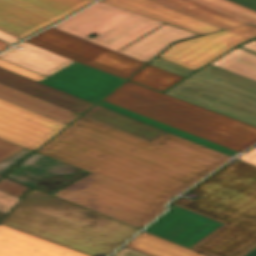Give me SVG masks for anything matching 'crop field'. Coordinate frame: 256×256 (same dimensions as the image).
<instances>
[{"label":"crop field","mask_w":256,"mask_h":256,"mask_svg":"<svg viewBox=\"0 0 256 256\" xmlns=\"http://www.w3.org/2000/svg\"><path fill=\"white\" fill-rule=\"evenodd\" d=\"M0 129L43 145L49 138L27 131L0 120Z\"/></svg>","instance_id":"crop-field-31"},{"label":"crop field","mask_w":256,"mask_h":256,"mask_svg":"<svg viewBox=\"0 0 256 256\" xmlns=\"http://www.w3.org/2000/svg\"><path fill=\"white\" fill-rule=\"evenodd\" d=\"M37 152L164 204L231 158L169 132L149 142L84 116Z\"/></svg>","instance_id":"crop-field-1"},{"label":"crop field","mask_w":256,"mask_h":256,"mask_svg":"<svg viewBox=\"0 0 256 256\" xmlns=\"http://www.w3.org/2000/svg\"><path fill=\"white\" fill-rule=\"evenodd\" d=\"M228 31L233 32L235 34H238V35H240L242 37H245L247 39H251V38L256 37V26H254L252 24H248V25L228 29Z\"/></svg>","instance_id":"crop-field-40"},{"label":"crop field","mask_w":256,"mask_h":256,"mask_svg":"<svg viewBox=\"0 0 256 256\" xmlns=\"http://www.w3.org/2000/svg\"><path fill=\"white\" fill-rule=\"evenodd\" d=\"M102 35H100V36H98V37H96V38H94L93 40H95V39H97V38H99V37H101ZM87 37V36H86ZM89 38V37H88Z\"/></svg>","instance_id":"crop-field-49"},{"label":"crop field","mask_w":256,"mask_h":256,"mask_svg":"<svg viewBox=\"0 0 256 256\" xmlns=\"http://www.w3.org/2000/svg\"><path fill=\"white\" fill-rule=\"evenodd\" d=\"M0 256H87L0 225Z\"/></svg>","instance_id":"crop-field-16"},{"label":"crop field","mask_w":256,"mask_h":256,"mask_svg":"<svg viewBox=\"0 0 256 256\" xmlns=\"http://www.w3.org/2000/svg\"><path fill=\"white\" fill-rule=\"evenodd\" d=\"M0 38L4 39L12 44L20 40V39L14 37L12 35H9L3 31H0Z\"/></svg>","instance_id":"crop-field-44"},{"label":"crop field","mask_w":256,"mask_h":256,"mask_svg":"<svg viewBox=\"0 0 256 256\" xmlns=\"http://www.w3.org/2000/svg\"><path fill=\"white\" fill-rule=\"evenodd\" d=\"M0 138L8 140L10 142H13L15 144L21 145L27 149H30L32 151L39 148L41 145L33 143L31 141L25 140L23 138H20L18 136L12 135L10 133H7L5 131L0 130Z\"/></svg>","instance_id":"crop-field-37"},{"label":"crop field","mask_w":256,"mask_h":256,"mask_svg":"<svg viewBox=\"0 0 256 256\" xmlns=\"http://www.w3.org/2000/svg\"><path fill=\"white\" fill-rule=\"evenodd\" d=\"M170 206V211L145 232L188 248L222 224L172 204Z\"/></svg>","instance_id":"crop-field-12"},{"label":"crop field","mask_w":256,"mask_h":256,"mask_svg":"<svg viewBox=\"0 0 256 256\" xmlns=\"http://www.w3.org/2000/svg\"><path fill=\"white\" fill-rule=\"evenodd\" d=\"M241 47L256 52V40L253 41V42H250V43H248V44H246V45H243V46H241Z\"/></svg>","instance_id":"crop-field-45"},{"label":"crop field","mask_w":256,"mask_h":256,"mask_svg":"<svg viewBox=\"0 0 256 256\" xmlns=\"http://www.w3.org/2000/svg\"><path fill=\"white\" fill-rule=\"evenodd\" d=\"M172 204L224 223L190 248L210 256H245L256 248V236L240 230L250 222L182 197Z\"/></svg>","instance_id":"crop-field-9"},{"label":"crop field","mask_w":256,"mask_h":256,"mask_svg":"<svg viewBox=\"0 0 256 256\" xmlns=\"http://www.w3.org/2000/svg\"><path fill=\"white\" fill-rule=\"evenodd\" d=\"M125 246L153 256H205L145 232L141 233Z\"/></svg>","instance_id":"crop-field-23"},{"label":"crop field","mask_w":256,"mask_h":256,"mask_svg":"<svg viewBox=\"0 0 256 256\" xmlns=\"http://www.w3.org/2000/svg\"><path fill=\"white\" fill-rule=\"evenodd\" d=\"M238 159H241L243 161L256 165V148L246 152L245 154L240 156Z\"/></svg>","instance_id":"crop-field-42"},{"label":"crop field","mask_w":256,"mask_h":256,"mask_svg":"<svg viewBox=\"0 0 256 256\" xmlns=\"http://www.w3.org/2000/svg\"><path fill=\"white\" fill-rule=\"evenodd\" d=\"M0 82L81 114L93 103L0 68Z\"/></svg>","instance_id":"crop-field-18"},{"label":"crop field","mask_w":256,"mask_h":256,"mask_svg":"<svg viewBox=\"0 0 256 256\" xmlns=\"http://www.w3.org/2000/svg\"><path fill=\"white\" fill-rule=\"evenodd\" d=\"M0 178H1V176H0Z\"/></svg>","instance_id":"crop-field-50"},{"label":"crop field","mask_w":256,"mask_h":256,"mask_svg":"<svg viewBox=\"0 0 256 256\" xmlns=\"http://www.w3.org/2000/svg\"><path fill=\"white\" fill-rule=\"evenodd\" d=\"M163 23L98 1L54 28L116 51ZM93 31L104 36L84 37Z\"/></svg>","instance_id":"crop-field-6"},{"label":"crop field","mask_w":256,"mask_h":256,"mask_svg":"<svg viewBox=\"0 0 256 256\" xmlns=\"http://www.w3.org/2000/svg\"><path fill=\"white\" fill-rule=\"evenodd\" d=\"M246 256H256V249L253 250L251 253H249V254L246 255Z\"/></svg>","instance_id":"crop-field-47"},{"label":"crop field","mask_w":256,"mask_h":256,"mask_svg":"<svg viewBox=\"0 0 256 256\" xmlns=\"http://www.w3.org/2000/svg\"><path fill=\"white\" fill-rule=\"evenodd\" d=\"M5 216V214L0 213V221L2 220V218Z\"/></svg>","instance_id":"crop-field-48"},{"label":"crop field","mask_w":256,"mask_h":256,"mask_svg":"<svg viewBox=\"0 0 256 256\" xmlns=\"http://www.w3.org/2000/svg\"><path fill=\"white\" fill-rule=\"evenodd\" d=\"M204 35L223 30L152 0H100Z\"/></svg>","instance_id":"crop-field-15"},{"label":"crop field","mask_w":256,"mask_h":256,"mask_svg":"<svg viewBox=\"0 0 256 256\" xmlns=\"http://www.w3.org/2000/svg\"><path fill=\"white\" fill-rule=\"evenodd\" d=\"M52 195L141 229L165 205L91 174Z\"/></svg>","instance_id":"crop-field-4"},{"label":"crop field","mask_w":256,"mask_h":256,"mask_svg":"<svg viewBox=\"0 0 256 256\" xmlns=\"http://www.w3.org/2000/svg\"><path fill=\"white\" fill-rule=\"evenodd\" d=\"M10 46L8 43H5L3 41L0 40V51L6 47Z\"/></svg>","instance_id":"crop-field-46"},{"label":"crop field","mask_w":256,"mask_h":256,"mask_svg":"<svg viewBox=\"0 0 256 256\" xmlns=\"http://www.w3.org/2000/svg\"><path fill=\"white\" fill-rule=\"evenodd\" d=\"M211 64L256 81V55L239 47Z\"/></svg>","instance_id":"crop-field-24"},{"label":"crop field","mask_w":256,"mask_h":256,"mask_svg":"<svg viewBox=\"0 0 256 256\" xmlns=\"http://www.w3.org/2000/svg\"><path fill=\"white\" fill-rule=\"evenodd\" d=\"M0 67L7 69L9 71L15 72L17 74H20L22 76H25L27 78H30L32 80H35L37 82L44 79L46 76L38 74L36 72H33L31 70L25 69L23 67H20L18 65L12 64L10 62H7L5 60L0 59Z\"/></svg>","instance_id":"crop-field-33"},{"label":"crop field","mask_w":256,"mask_h":256,"mask_svg":"<svg viewBox=\"0 0 256 256\" xmlns=\"http://www.w3.org/2000/svg\"><path fill=\"white\" fill-rule=\"evenodd\" d=\"M114 256H150V255H147L145 253L139 252L137 250H134L128 247H124Z\"/></svg>","instance_id":"crop-field-41"},{"label":"crop field","mask_w":256,"mask_h":256,"mask_svg":"<svg viewBox=\"0 0 256 256\" xmlns=\"http://www.w3.org/2000/svg\"><path fill=\"white\" fill-rule=\"evenodd\" d=\"M104 101L237 152L256 142V127L129 81Z\"/></svg>","instance_id":"crop-field-3"},{"label":"crop field","mask_w":256,"mask_h":256,"mask_svg":"<svg viewBox=\"0 0 256 256\" xmlns=\"http://www.w3.org/2000/svg\"><path fill=\"white\" fill-rule=\"evenodd\" d=\"M231 1L256 10V0H231Z\"/></svg>","instance_id":"crop-field-43"},{"label":"crop field","mask_w":256,"mask_h":256,"mask_svg":"<svg viewBox=\"0 0 256 256\" xmlns=\"http://www.w3.org/2000/svg\"><path fill=\"white\" fill-rule=\"evenodd\" d=\"M27 189L28 187L8 179L3 178L0 180V190L6 191L18 197L22 196Z\"/></svg>","instance_id":"crop-field-36"},{"label":"crop field","mask_w":256,"mask_h":256,"mask_svg":"<svg viewBox=\"0 0 256 256\" xmlns=\"http://www.w3.org/2000/svg\"><path fill=\"white\" fill-rule=\"evenodd\" d=\"M220 12L256 25V11L228 0H194Z\"/></svg>","instance_id":"crop-field-30"},{"label":"crop field","mask_w":256,"mask_h":256,"mask_svg":"<svg viewBox=\"0 0 256 256\" xmlns=\"http://www.w3.org/2000/svg\"><path fill=\"white\" fill-rule=\"evenodd\" d=\"M93 0H0V30L20 39Z\"/></svg>","instance_id":"crop-field-8"},{"label":"crop field","mask_w":256,"mask_h":256,"mask_svg":"<svg viewBox=\"0 0 256 256\" xmlns=\"http://www.w3.org/2000/svg\"><path fill=\"white\" fill-rule=\"evenodd\" d=\"M0 97L38 112L42 115L46 114L56 106L2 83H0Z\"/></svg>","instance_id":"crop-field-28"},{"label":"crop field","mask_w":256,"mask_h":256,"mask_svg":"<svg viewBox=\"0 0 256 256\" xmlns=\"http://www.w3.org/2000/svg\"><path fill=\"white\" fill-rule=\"evenodd\" d=\"M30 153H32V151L25 149L13 155L12 157L0 162V175L3 176L7 171H9L11 168L17 165L21 160H23Z\"/></svg>","instance_id":"crop-field-35"},{"label":"crop field","mask_w":256,"mask_h":256,"mask_svg":"<svg viewBox=\"0 0 256 256\" xmlns=\"http://www.w3.org/2000/svg\"><path fill=\"white\" fill-rule=\"evenodd\" d=\"M18 46L21 48L17 50L16 46L1 54L0 58L46 76L74 62L26 41Z\"/></svg>","instance_id":"crop-field-19"},{"label":"crop field","mask_w":256,"mask_h":256,"mask_svg":"<svg viewBox=\"0 0 256 256\" xmlns=\"http://www.w3.org/2000/svg\"><path fill=\"white\" fill-rule=\"evenodd\" d=\"M150 64L165 69L167 71L179 74L181 76H188L190 73L193 72V70H190L188 68L182 67L180 65H177L175 63L169 62L167 60L161 59L159 57L155 58Z\"/></svg>","instance_id":"crop-field-32"},{"label":"crop field","mask_w":256,"mask_h":256,"mask_svg":"<svg viewBox=\"0 0 256 256\" xmlns=\"http://www.w3.org/2000/svg\"><path fill=\"white\" fill-rule=\"evenodd\" d=\"M22 149L24 148L21 146L0 139V161L12 156L13 154L21 151Z\"/></svg>","instance_id":"crop-field-39"},{"label":"crop field","mask_w":256,"mask_h":256,"mask_svg":"<svg viewBox=\"0 0 256 256\" xmlns=\"http://www.w3.org/2000/svg\"><path fill=\"white\" fill-rule=\"evenodd\" d=\"M245 40L224 30L175 43L159 57L195 70Z\"/></svg>","instance_id":"crop-field-13"},{"label":"crop field","mask_w":256,"mask_h":256,"mask_svg":"<svg viewBox=\"0 0 256 256\" xmlns=\"http://www.w3.org/2000/svg\"><path fill=\"white\" fill-rule=\"evenodd\" d=\"M98 105L106 107V108L111 109L113 111L119 112V113L124 114L126 116L132 117V118L137 119L139 121H142L144 123L150 124V125L155 126L157 128L163 129L165 131H169V132L174 133L176 135L182 136L184 138H187V139L192 140L194 142L200 143L202 145H205V146L210 147L212 149H215L217 151L223 152V153L228 154L230 156L237 153L235 151L229 150V149L224 148L222 146H219L217 144L211 143V142L206 141L204 139L198 138V137L193 136L191 134H188L186 132L180 131V130L175 129L173 127L167 126V125L162 124L160 122H157L155 120H152V119H149L147 117L141 116L139 114L133 113L131 111L122 109L120 107L114 106V105L106 103L104 101L100 102Z\"/></svg>","instance_id":"crop-field-26"},{"label":"crop field","mask_w":256,"mask_h":256,"mask_svg":"<svg viewBox=\"0 0 256 256\" xmlns=\"http://www.w3.org/2000/svg\"><path fill=\"white\" fill-rule=\"evenodd\" d=\"M185 81H188L190 83L199 85L201 87L210 89L212 91L221 93L223 95H226L234 99L256 106V96L248 94L241 90L235 89L228 85L222 84L220 82L211 80L209 78L203 77L197 73L188 77Z\"/></svg>","instance_id":"crop-field-29"},{"label":"crop field","mask_w":256,"mask_h":256,"mask_svg":"<svg viewBox=\"0 0 256 256\" xmlns=\"http://www.w3.org/2000/svg\"><path fill=\"white\" fill-rule=\"evenodd\" d=\"M191 191L193 201L252 222L242 230L256 235V166L235 159Z\"/></svg>","instance_id":"crop-field-5"},{"label":"crop field","mask_w":256,"mask_h":256,"mask_svg":"<svg viewBox=\"0 0 256 256\" xmlns=\"http://www.w3.org/2000/svg\"><path fill=\"white\" fill-rule=\"evenodd\" d=\"M164 93L256 126V107L188 82L183 81Z\"/></svg>","instance_id":"crop-field-14"},{"label":"crop field","mask_w":256,"mask_h":256,"mask_svg":"<svg viewBox=\"0 0 256 256\" xmlns=\"http://www.w3.org/2000/svg\"><path fill=\"white\" fill-rule=\"evenodd\" d=\"M0 224L90 256L109 255L139 231L34 188Z\"/></svg>","instance_id":"crop-field-2"},{"label":"crop field","mask_w":256,"mask_h":256,"mask_svg":"<svg viewBox=\"0 0 256 256\" xmlns=\"http://www.w3.org/2000/svg\"><path fill=\"white\" fill-rule=\"evenodd\" d=\"M182 79L183 77L181 76L156 68L150 64L129 78V80L138 82L160 92Z\"/></svg>","instance_id":"crop-field-25"},{"label":"crop field","mask_w":256,"mask_h":256,"mask_svg":"<svg viewBox=\"0 0 256 256\" xmlns=\"http://www.w3.org/2000/svg\"><path fill=\"white\" fill-rule=\"evenodd\" d=\"M123 81L75 62L48 76L41 83L95 103Z\"/></svg>","instance_id":"crop-field-11"},{"label":"crop field","mask_w":256,"mask_h":256,"mask_svg":"<svg viewBox=\"0 0 256 256\" xmlns=\"http://www.w3.org/2000/svg\"><path fill=\"white\" fill-rule=\"evenodd\" d=\"M197 36L201 35L165 23L117 52L147 63L173 42Z\"/></svg>","instance_id":"crop-field-17"},{"label":"crop field","mask_w":256,"mask_h":256,"mask_svg":"<svg viewBox=\"0 0 256 256\" xmlns=\"http://www.w3.org/2000/svg\"><path fill=\"white\" fill-rule=\"evenodd\" d=\"M0 119L51 138L66 125L0 98Z\"/></svg>","instance_id":"crop-field-20"},{"label":"crop field","mask_w":256,"mask_h":256,"mask_svg":"<svg viewBox=\"0 0 256 256\" xmlns=\"http://www.w3.org/2000/svg\"><path fill=\"white\" fill-rule=\"evenodd\" d=\"M89 173L36 152L6 177L51 194Z\"/></svg>","instance_id":"crop-field-10"},{"label":"crop field","mask_w":256,"mask_h":256,"mask_svg":"<svg viewBox=\"0 0 256 256\" xmlns=\"http://www.w3.org/2000/svg\"><path fill=\"white\" fill-rule=\"evenodd\" d=\"M159 3L165 4L189 15L207 21L211 24L219 26L223 29L247 24L233 17L215 11L211 8L193 2L191 0H154Z\"/></svg>","instance_id":"crop-field-22"},{"label":"crop field","mask_w":256,"mask_h":256,"mask_svg":"<svg viewBox=\"0 0 256 256\" xmlns=\"http://www.w3.org/2000/svg\"><path fill=\"white\" fill-rule=\"evenodd\" d=\"M26 41L124 79L145 64L54 28Z\"/></svg>","instance_id":"crop-field-7"},{"label":"crop field","mask_w":256,"mask_h":256,"mask_svg":"<svg viewBox=\"0 0 256 256\" xmlns=\"http://www.w3.org/2000/svg\"><path fill=\"white\" fill-rule=\"evenodd\" d=\"M45 116L50 117L54 120H57L59 122H62L64 124L68 125L76 117H78L79 114L57 106L53 110L48 112Z\"/></svg>","instance_id":"crop-field-34"},{"label":"crop field","mask_w":256,"mask_h":256,"mask_svg":"<svg viewBox=\"0 0 256 256\" xmlns=\"http://www.w3.org/2000/svg\"><path fill=\"white\" fill-rule=\"evenodd\" d=\"M20 200V198L0 191V212L7 214Z\"/></svg>","instance_id":"crop-field-38"},{"label":"crop field","mask_w":256,"mask_h":256,"mask_svg":"<svg viewBox=\"0 0 256 256\" xmlns=\"http://www.w3.org/2000/svg\"><path fill=\"white\" fill-rule=\"evenodd\" d=\"M197 73L256 95L255 81L223 70L211 64L203 67Z\"/></svg>","instance_id":"crop-field-27"},{"label":"crop field","mask_w":256,"mask_h":256,"mask_svg":"<svg viewBox=\"0 0 256 256\" xmlns=\"http://www.w3.org/2000/svg\"><path fill=\"white\" fill-rule=\"evenodd\" d=\"M84 116L113 126L120 130L126 131L128 133L134 134L149 141L153 140L154 138L165 132L163 130L131 119L119 113L100 107L98 105H96L86 114H84Z\"/></svg>","instance_id":"crop-field-21"}]
</instances>
